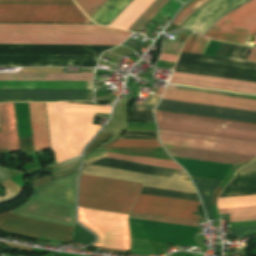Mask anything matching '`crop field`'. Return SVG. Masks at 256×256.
I'll return each mask as SVG.
<instances>
[{
  "label": "crop field",
  "instance_id": "crop-field-1",
  "mask_svg": "<svg viewBox=\"0 0 256 256\" xmlns=\"http://www.w3.org/2000/svg\"><path fill=\"white\" fill-rule=\"evenodd\" d=\"M51 145L58 162L79 155L84 145L101 126L92 125L94 114L64 113L66 121L67 148L63 112L110 113L112 106H91L68 103H46Z\"/></svg>",
  "mask_w": 256,
  "mask_h": 256
},
{
  "label": "crop field",
  "instance_id": "crop-field-2",
  "mask_svg": "<svg viewBox=\"0 0 256 256\" xmlns=\"http://www.w3.org/2000/svg\"><path fill=\"white\" fill-rule=\"evenodd\" d=\"M142 184L82 175L79 206L129 213Z\"/></svg>",
  "mask_w": 256,
  "mask_h": 256
},
{
  "label": "crop field",
  "instance_id": "crop-field-3",
  "mask_svg": "<svg viewBox=\"0 0 256 256\" xmlns=\"http://www.w3.org/2000/svg\"><path fill=\"white\" fill-rule=\"evenodd\" d=\"M158 127L256 141V124L156 111Z\"/></svg>",
  "mask_w": 256,
  "mask_h": 256
},
{
  "label": "crop field",
  "instance_id": "crop-field-4",
  "mask_svg": "<svg viewBox=\"0 0 256 256\" xmlns=\"http://www.w3.org/2000/svg\"><path fill=\"white\" fill-rule=\"evenodd\" d=\"M78 221L98 236L93 246L129 250L128 215L79 208Z\"/></svg>",
  "mask_w": 256,
  "mask_h": 256
},
{
  "label": "crop field",
  "instance_id": "crop-field-5",
  "mask_svg": "<svg viewBox=\"0 0 256 256\" xmlns=\"http://www.w3.org/2000/svg\"><path fill=\"white\" fill-rule=\"evenodd\" d=\"M87 19L77 5L0 4V22L86 23Z\"/></svg>",
  "mask_w": 256,
  "mask_h": 256
},
{
  "label": "crop field",
  "instance_id": "crop-field-6",
  "mask_svg": "<svg viewBox=\"0 0 256 256\" xmlns=\"http://www.w3.org/2000/svg\"><path fill=\"white\" fill-rule=\"evenodd\" d=\"M162 144L256 156V142L159 129Z\"/></svg>",
  "mask_w": 256,
  "mask_h": 256
},
{
  "label": "crop field",
  "instance_id": "crop-field-7",
  "mask_svg": "<svg viewBox=\"0 0 256 256\" xmlns=\"http://www.w3.org/2000/svg\"><path fill=\"white\" fill-rule=\"evenodd\" d=\"M256 29V0H251L218 21L209 31H231L249 34ZM256 31V30H255ZM231 32H207L213 39L242 45L256 32L245 35Z\"/></svg>",
  "mask_w": 256,
  "mask_h": 256
},
{
  "label": "crop field",
  "instance_id": "crop-field-8",
  "mask_svg": "<svg viewBox=\"0 0 256 256\" xmlns=\"http://www.w3.org/2000/svg\"><path fill=\"white\" fill-rule=\"evenodd\" d=\"M129 35L0 34V44L119 45Z\"/></svg>",
  "mask_w": 256,
  "mask_h": 256
},
{
  "label": "crop field",
  "instance_id": "crop-field-9",
  "mask_svg": "<svg viewBox=\"0 0 256 256\" xmlns=\"http://www.w3.org/2000/svg\"><path fill=\"white\" fill-rule=\"evenodd\" d=\"M197 205L201 203L139 194L131 212L199 221L198 217H193Z\"/></svg>",
  "mask_w": 256,
  "mask_h": 256
},
{
  "label": "crop field",
  "instance_id": "crop-field-10",
  "mask_svg": "<svg viewBox=\"0 0 256 256\" xmlns=\"http://www.w3.org/2000/svg\"><path fill=\"white\" fill-rule=\"evenodd\" d=\"M82 174L101 176V177L126 180V181H133V182H140V183H145L144 186H147V187H155V188H163V189L197 193L192 182L165 179V178H160L152 175L125 172V171L92 166V165L86 166L82 170Z\"/></svg>",
  "mask_w": 256,
  "mask_h": 256
},
{
  "label": "crop field",
  "instance_id": "crop-field-11",
  "mask_svg": "<svg viewBox=\"0 0 256 256\" xmlns=\"http://www.w3.org/2000/svg\"><path fill=\"white\" fill-rule=\"evenodd\" d=\"M0 226L66 241H69V234L73 229L68 226L12 215L10 211L0 214Z\"/></svg>",
  "mask_w": 256,
  "mask_h": 256
},
{
  "label": "crop field",
  "instance_id": "crop-field-12",
  "mask_svg": "<svg viewBox=\"0 0 256 256\" xmlns=\"http://www.w3.org/2000/svg\"><path fill=\"white\" fill-rule=\"evenodd\" d=\"M0 33H81L132 34L130 32L93 25L0 24Z\"/></svg>",
  "mask_w": 256,
  "mask_h": 256
},
{
  "label": "crop field",
  "instance_id": "crop-field-13",
  "mask_svg": "<svg viewBox=\"0 0 256 256\" xmlns=\"http://www.w3.org/2000/svg\"><path fill=\"white\" fill-rule=\"evenodd\" d=\"M157 109L256 123V112L161 100Z\"/></svg>",
  "mask_w": 256,
  "mask_h": 256
},
{
  "label": "crop field",
  "instance_id": "crop-field-14",
  "mask_svg": "<svg viewBox=\"0 0 256 256\" xmlns=\"http://www.w3.org/2000/svg\"><path fill=\"white\" fill-rule=\"evenodd\" d=\"M92 98L91 90H12L0 89V100L85 101Z\"/></svg>",
  "mask_w": 256,
  "mask_h": 256
},
{
  "label": "crop field",
  "instance_id": "crop-field-15",
  "mask_svg": "<svg viewBox=\"0 0 256 256\" xmlns=\"http://www.w3.org/2000/svg\"><path fill=\"white\" fill-rule=\"evenodd\" d=\"M163 99L256 111V101L167 89Z\"/></svg>",
  "mask_w": 256,
  "mask_h": 256
},
{
  "label": "crop field",
  "instance_id": "crop-field-16",
  "mask_svg": "<svg viewBox=\"0 0 256 256\" xmlns=\"http://www.w3.org/2000/svg\"><path fill=\"white\" fill-rule=\"evenodd\" d=\"M170 82L256 94V83L245 81L174 72Z\"/></svg>",
  "mask_w": 256,
  "mask_h": 256
},
{
  "label": "crop field",
  "instance_id": "crop-field-17",
  "mask_svg": "<svg viewBox=\"0 0 256 256\" xmlns=\"http://www.w3.org/2000/svg\"><path fill=\"white\" fill-rule=\"evenodd\" d=\"M105 147L110 151L172 160L159 141L118 140L112 145H105Z\"/></svg>",
  "mask_w": 256,
  "mask_h": 256
},
{
  "label": "crop field",
  "instance_id": "crop-field-18",
  "mask_svg": "<svg viewBox=\"0 0 256 256\" xmlns=\"http://www.w3.org/2000/svg\"><path fill=\"white\" fill-rule=\"evenodd\" d=\"M164 147L167 149V151L170 153L171 156L232 163V164H237L239 162H243L246 160L251 161L252 159L255 158L253 156L213 152V151L166 146V145H164Z\"/></svg>",
  "mask_w": 256,
  "mask_h": 256
},
{
  "label": "crop field",
  "instance_id": "crop-field-19",
  "mask_svg": "<svg viewBox=\"0 0 256 256\" xmlns=\"http://www.w3.org/2000/svg\"><path fill=\"white\" fill-rule=\"evenodd\" d=\"M0 149L19 150L13 103L0 104Z\"/></svg>",
  "mask_w": 256,
  "mask_h": 256
},
{
  "label": "crop field",
  "instance_id": "crop-field-20",
  "mask_svg": "<svg viewBox=\"0 0 256 256\" xmlns=\"http://www.w3.org/2000/svg\"><path fill=\"white\" fill-rule=\"evenodd\" d=\"M34 150L50 148L44 103H29Z\"/></svg>",
  "mask_w": 256,
  "mask_h": 256
},
{
  "label": "crop field",
  "instance_id": "crop-field-21",
  "mask_svg": "<svg viewBox=\"0 0 256 256\" xmlns=\"http://www.w3.org/2000/svg\"><path fill=\"white\" fill-rule=\"evenodd\" d=\"M93 74L94 73H81V74L0 73V80L91 81Z\"/></svg>",
  "mask_w": 256,
  "mask_h": 256
},
{
  "label": "crop field",
  "instance_id": "crop-field-22",
  "mask_svg": "<svg viewBox=\"0 0 256 256\" xmlns=\"http://www.w3.org/2000/svg\"><path fill=\"white\" fill-rule=\"evenodd\" d=\"M155 0H133L110 24L127 30Z\"/></svg>",
  "mask_w": 256,
  "mask_h": 256
},
{
  "label": "crop field",
  "instance_id": "crop-field-23",
  "mask_svg": "<svg viewBox=\"0 0 256 256\" xmlns=\"http://www.w3.org/2000/svg\"><path fill=\"white\" fill-rule=\"evenodd\" d=\"M91 82H8L0 81V88L91 89Z\"/></svg>",
  "mask_w": 256,
  "mask_h": 256
},
{
  "label": "crop field",
  "instance_id": "crop-field-24",
  "mask_svg": "<svg viewBox=\"0 0 256 256\" xmlns=\"http://www.w3.org/2000/svg\"><path fill=\"white\" fill-rule=\"evenodd\" d=\"M191 178L201 195L208 219L215 220L213 211H212V207H211V197H212V193H213L215 187L221 181L202 179V178H194V177H191Z\"/></svg>",
  "mask_w": 256,
  "mask_h": 256
},
{
  "label": "crop field",
  "instance_id": "crop-field-25",
  "mask_svg": "<svg viewBox=\"0 0 256 256\" xmlns=\"http://www.w3.org/2000/svg\"><path fill=\"white\" fill-rule=\"evenodd\" d=\"M107 157L119 159V160L137 162V163L150 164V165L159 166V167L182 170L174 161H170V160L136 157V156H124L121 154H116V153H111V152L108 153Z\"/></svg>",
  "mask_w": 256,
  "mask_h": 256
},
{
  "label": "crop field",
  "instance_id": "crop-field-26",
  "mask_svg": "<svg viewBox=\"0 0 256 256\" xmlns=\"http://www.w3.org/2000/svg\"><path fill=\"white\" fill-rule=\"evenodd\" d=\"M168 1L156 0L128 30L139 32Z\"/></svg>",
  "mask_w": 256,
  "mask_h": 256
},
{
  "label": "crop field",
  "instance_id": "crop-field-27",
  "mask_svg": "<svg viewBox=\"0 0 256 256\" xmlns=\"http://www.w3.org/2000/svg\"><path fill=\"white\" fill-rule=\"evenodd\" d=\"M220 214L230 213V222L256 220V207L219 210Z\"/></svg>",
  "mask_w": 256,
  "mask_h": 256
},
{
  "label": "crop field",
  "instance_id": "crop-field-28",
  "mask_svg": "<svg viewBox=\"0 0 256 256\" xmlns=\"http://www.w3.org/2000/svg\"><path fill=\"white\" fill-rule=\"evenodd\" d=\"M245 206H256V196L218 199L219 209Z\"/></svg>",
  "mask_w": 256,
  "mask_h": 256
},
{
  "label": "crop field",
  "instance_id": "crop-field-29",
  "mask_svg": "<svg viewBox=\"0 0 256 256\" xmlns=\"http://www.w3.org/2000/svg\"><path fill=\"white\" fill-rule=\"evenodd\" d=\"M130 218L198 227V222L196 221L177 219V218L159 217V216H151V215H143V214H135V213H131Z\"/></svg>",
  "mask_w": 256,
  "mask_h": 256
},
{
  "label": "crop field",
  "instance_id": "crop-field-30",
  "mask_svg": "<svg viewBox=\"0 0 256 256\" xmlns=\"http://www.w3.org/2000/svg\"><path fill=\"white\" fill-rule=\"evenodd\" d=\"M107 0H80L77 4L91 18Z\"/></svg>",
  "mask_w": 256,
  "mask_h": 256
},
{
  "label": "crop field",
  "instance_id": "crop-field-31",
  "mask_svg": "<svg viewBox=\"0 0 256 256\" xmlns=\"http://www.w3.org/2000/svg\"><path fill=\"white\" fill-rule=\"evenodd\" d=\"M0 3L75 4L73 0H0Z\"/></svg>",
  "mask_w": 256,
  "mask_h": 256
},
{
  "label": "crop field",
  "instance_id": "crop-field-32",
  "mask_svg": "<svg viewBox=\"0 0 256 256\" xmlns=\"http://www.w3.org/2000/svg\"><path fill=\"white\" fill-rule=\"evenodd\" d=\"M202 0H196L193 3H191L174 21L173 23L177 24L182 17L191 9L193 8L196 4H198L199 2H201ZM209 0H204L201 3H199L198 5H196L193 9H191L184 17L183 19L178 23V25H182L184 23V21L195 11L197 10L200 6H202L203 4H205L206 2H208Z\"/></svg>",
  "mask_w": 256,
  "mask_h": 256
},
{
  "label": "crop field",
  "instance_id": "crop-field-33",
  "mask_svg": "<svg viewBox=\"0 0 256 256\" xmlns=\"http://www.w3.org/2000/svg\"><path fill=\"white\" fill-rule=\"evenodd\" d=\"M110 136H111V134H109V133L100 132L97 139L95 141H93L90 144V146L87 148L85 159L90 157V155L93 154L97 150V148L100 146V144L107 141L110 138Z\"/></svg>",
  "mask_w": 256,
  "mask_h": 256
},
{
  "label": "crop field",
  "instance_id": "crop-field-34",
  "mask_svg": "<svg viewBox=\"0 0 256 256\" xmlns=\"http://www.w3.org/2000/svg\"><path fill=\"white\" fill-rule=\"evenodd\" d=\"M181 5L176 0H170L158 13L171 18Z\"/></svg>",
  "mask_w": 256,
  "mask_h": 256
},
{
  "label": "crop field",
  "instance_id": "crop-field-35",
  "mask_svg": "<svg viewBox=\"0 0 256 256\" xmlns=\"http://www.w3.org/2000/svg\"><path fill=\"white\" fill-rule=\"evenodd\" d=\"M182 43L164 41L163 50L164 53L177 54Z\"/></svg>",
  "mask_w": 256,
  "mask_h": 256
},
{
  "label": "crop field",
  "instance_id": "crop-field-36",
  "mask_svg": "<svg viewBox=\"0 0 256 256\" xmlns=\"http://www.w3.org/2000/svg\"><path fill=\"white\" fill-rule=\"evenodd\" d=\"M208 40L197 38L190 53L202 54ZM210 41V40H209ZM208 41V43H209ZM207 43V45H208ZM207 47V46H206ZM206 49V48H205ZM206 52V51H205ZM205 54V53H204Z\"/></svg>",
  "mask_w": 256,
  "mask_h": 256
},
{
  "label": "crop field",
  "instance_id": "crop-field-37",
  "mask_svg": "<svg viewBox=\"0 0 256 256\" xmlns=\"http://www.w3.org/2000/svg\"><path fill=\"white\" fill-rule=\"evenodd\" d=\"M231 236L256 234V227L230 229Z\"/></svg>",
  "mask_w": 256,
  "mask_h": 256
},
{
  "label": "crop field",
  "instance_id": "crop-field-38",
  "mask_svg": "<svg viewBox=\"0 0 256 256\" xmlns=\"http://www.w3.org/2000/svg\"><path fill=\"white\" fill-rule=\"evenodd\" d=\"M3 186H5V185H3ZM5 188H6L5 191H6L7 194L5 196H3V197H0V204L9 202V201H11V200H13V199H15L16 197L19 196L15 192H13L9 188H7L6 186H5Z\"/></svg>",
  "mask_w": 256,
  "mask_h": 256
},
{
  "label": "crop field",
  "instance_id": "crop-field-39",
  "mask_svg": "<svg viewBox=\"0 0 256 256\" xmlns=\"http://www.w3.org/2000/svg\"><path fill=\"white\" fill-rule=\"evenodd\" d=\"M107 153L108 152H101V153L93 154L90 158L84 161L83 165L105 158L107 156Z\"/></svg>",
  "mask_w": 256,
  "mask_h": 256
},
{
  "label": "crop field",
  "instance_id": "crop-field-40",
  "mask_svg": "<svg viewBox=\"0 0 256 256\" xmlns=\"http://www.w3.org/2000/svg\"><path fill=\"white\" fill-rule=\"evenodd\" d=\"M177 57H178V56H174V55H169V54H164V53H162V54H161V57H160V60H161V61H167V62H173V63H175Z\"/></svg>",
  "mask_w": 256,
  "mask_h": 256
},
{
  "label": "crop field",
  "instance_id": "crop-field-41",
  "mask_svg": "<svg viewBox=\"0 0 256 256\" xmlns=\"http://www.w3.org/2000/svg\"><path fill=\"white\" fill-rule=\"evenodd\" d=\"M195 39H196V37L190 36V38H189L188 41L186 42V44H185V46H184V48H183L182 51L189 53L190 50H191V48H192V45H193Z\"/></svg>",
  "mask_w": 256,
  "mask_h": 256
},
{
  "label": "crop field",
  "instance_id": "crop-field-42",
  "mask_svg": "<svg viewBox=\"0 0 256 256\" xmlns=\"http://www.w3.org/2000/svg\"><path fill=\"white\" fill-rule=\"evenodd\" d=\"M155 106L133 105L131 110H153Z\"/></svg>",
  "mask_w": 256,
  "mask_h": 256
},
{
  "label": "crop field",
  "instance_id": "crop-field-43",
  "mask_svg": "<svg viewBox=\"0 0 256 256\" xmlns=\"http://www.w3.org/2000/svg\"><path fill=\"white\" fill-rule=\"evenodd\" d=\"M247 60L256 61V49L252 48Z\"/></svg>",
  "mask_w": 256,
  "mask_h": 256
},
{
  "label": "crop field",
  "instance_id": "crop-field-44",
  "mask_svg": "<svg viewBox=\"0 0 256 256\" xmlns=\"http://www.w3.org/2000/svg\"><path fill=\"white\" fill-rule=\"evenodd\" d=\"M220 190H221V188H218V187L215 189V191L213 193V197H212V205L216 204L215 201L218 197Z\"/></svg>",
  "mask_w": 256,
  "mask_h": 256
},
{
  "label": "crop field",
  "instance_id": "crop-field-45",
  "mask_svg": "<svg viewBox=\"0 0 256 256\" xmlns=\"http://www.w3.org/2000/svg\"><path fill=\"white\" fill-rule=\"evenodd\" d=\"M165 89L159 88L157 91V95H162Z\"/></svg>",
  "mask_w": 256,
  "mask_h": 256
},
{
  "label": "crop field",
  "instance_id": "crop-field-46",
  "mask_svg": "<svg viewBox=\"0 0 256 256\" xmlns=\"http://www.w3.org/2000/svg\"><path fill=\"white\" fill-rule=\"evenodd\" d=\"M181 1L185 3L187 0H181Z\"/></svg>",
  "mask_w": 256,
  "mask_h": 256
},
{
  "label": "crop field",
  "instance_id": "crop-field-47",
  "mask_svg": "<svg viewBox=\"0 0 256 256\" xmlns=\"http://www.w3.org/2000/svg\"><path fill=\"white\" fill-rule=\"evenodd\" d=\"M79 0H75V2L77 3Z\"/></svg>",
  "mask_w": 256,
  "mask_h": 256
}]
</instances>
